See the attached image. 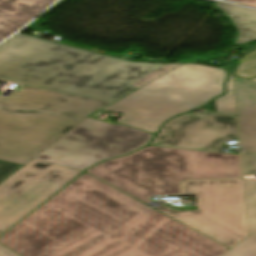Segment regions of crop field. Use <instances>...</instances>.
<instances>
[{"label":"crop field","mask_w":256,"mask_h":256,"mask_svg":"<svg viewBox=\"0 0 256 256\" xmlns=\"http://www.w3.org/2000/svg\"><path fill=\"white\" fill-rule=\"evenodd\" d=\"M236 138L235 118L189 113L165 123L150 146L219 152L225 141Z\"/></svg>","instance_id":"crop-field-9"},{"label":"crop field","mask_w":256,"mask_h":256,"mask_svg":"<svg viewBox=\"0 0 256 256\" xmlns=\"http://www.w3.org/2000/svg\"><path fill=\"white\" fill-rule=\"evenodd\" d=\"M223 68L182 64L103 109L117 122L155 134L167 119L196 109L223 91Z\"/></svg>","instance_id":"crop-field-5"},{"label":"crop field","mask_w":256,"mask_h":256,"mask_svg":"<svg viewBox=\"0 0 256 256\" xmlns=\"http://www.w3.org/2000/svg\"><path fill=\"white\" fill-rule=\"evenodd\" d=\"M20 165L0 161V182L15 171Z\"/></svg>","instance_id":"crop-field-18"},{"label":"crop field","mask_w":256,"mask_h":256,"mask_svg":"<svg viewBox=\"0 0 256 256\" xmlns=\"http://www.w3.org/2000/svg\"><path fill=\"white\" fill-rule=\"evenodd\" d=\"M230 249L240 256H256V236L249 235L239 244Z\"/></svg>","instance_id":"crop-field-16"},{"label":"crop field","mask_w":256,"mask_h":256,"mask_svg":"<svg viewBox=\"0 0 256 256\" xmlns=\"http://www.w3.org/2000/svg\"><path fill=\"white\" fill-rule=\"evenodd\" d=\"M163 65L129 62L19 34L0 45V79L112 101Z\"/></svg>","instance_id":"crop-field-2"},{"label":"crop field","mask_w":256,"mask_h":256,"mask_svg":"<svg viewBox=\"0 0 256 256\" xmlns=\"http://www.w3.org/2000/svg\"><path fill=\"white\" fill-rule=\"evenodd\" d=\"M151 134L87 117L34 159L82 170L145 145Z\"/></svg>","instance_id":"crop-field-7"},{"label":"crop field","mask_w":256,"mask_h":256,"mask_svg":"<svg viewBox=\"0 0 256 256\" xmlns=\"http://www.w3.org/2000/svg\"><path fill=\"white\" fill-rule=\"evenodd\" d=\"M243 183L249 234L256 235V181L243 179Z\"/></svg>","instance_id":"crop-field-13"},{"label":"crop field","mask_w":256,"mask_h":256,"mask_svg":"<svg viewBox=\"0 0 256 256\" xmlns=\"http://www.w3.org/2000/svg\"><path fill=\"white\" fill-rule=\"evenodd\" d=\"M216 5L232 19L238 29L236 44L256 40V11L222 2Z\"/></svg>","instance_id":"crop-field-12"},{"label":"crop field","mask_w":256,"mask_h":256,"mask_svg":"<svg viewBox=\"0 0 256 256\" xmlns=\"http://www.w3.org/2000/svg\"><path fill=\"white\" fill-rule=\"evenodd\" d=\"M54 0H0V41L20 28Z\"/></svg>","instance_id":"crop-field-11"},{"label":"crop field","mask_w":256,"mask_h":256,"mask_svg":"<svg viewBox=\"0 0 256 256\" xmlns=\"http://www.w3.org/2000/svg\"><path fill=\"white\" fill-rule=\"evenodd\" d=\"M228 1L243 3L256 8V0H228Z\"/></svg>","instance_id":"crop-field-19"},{"label":"crop field","mask_w":256,"mask_h":256,"mask_svg":"<svg viewBox=\"0 0 256 256\" xmlns=\"http://www.w3.org/2000/svg\"><path fill=\"white\" fill-rule=\"evenodd\" d=\"M110 102L30 86L0 97V160L24 164Z\"/></svg>","instance_id":"crop-field-3"},{"label":"crop field","mask_w":256,"mask_h":256,"mask_svg":"<svg viewBox=\"0 0 256 256\" xmlns=\"http://www.w3.org/2000/svg\"><path fill=\"white\" fill-rule=\"evenodd\" d=\"M81 171L31 159L0 183V234ZM0 256H18L0 246Z\"/></svg>","instance_id":"crop-field-8"},{"label":"crop field","mask_w":256,"mask_h":256,"mask_svg":"<svg viewBox=\"0 0 256 256\" xmlns=\"http://www.w3.org/2000/svg\"><path fill=\"white\" fill-rule=\"evenodd\" d=\"M244 176L256 175V83L234 78Z\"/></svg>","instance_id":"crop-field-10"},{"label":"crop field","mask_w":256,"mask_h":256,"mask_svg":"<svg viewBox=\"0 0 256 256\" xmlns=\"http://www.w3.org/2000/svg\"><path fill=\"white\" fill-rule=\"evenodd\" d=\"M234 74L245 79L256 77V50L241 58Z\"/></svg>","instance_id":"crop-field-15"},{"label":"crop field","mask_w":256,"mask_h":256,"mask_svg":"<svg viewBox=\"0 0 256 256\" xmlns=\"http://www.w3.org/2000/svg\"><path fill=\"white\" fill-rule=\"evenodd\" d=\"M249 80L256 82V78H253V79H249Z\"/></svg>","instance_id":"crop-field-21"},{"label":"crop field","mask_w":256,"mask_h":256,"mask_svg":"<svg viewBox=\"0 0 256 256\" xmlns=\"http://www.w3.org/2000/svg\"><path fill=\"white\" fill-rule=\"evenodd\" d=\"M183 195H195L197 211L154 208L228 246L248 236L242 179L182 183Z\"/></svg>","instance_id":"crop-field-6"},{"label":"crop field","mask_w":256,"mask_h":256,"mask_svg":"<svg viewBox=\"0 0 256 256\" xmlns=\"http://www.w3.org/2000/svg\"><path fill=\"white\" fill-rule=\"evenodd\" d=\"M87 172L151 206L152 196L179 194L180 180L241 177L239 155L155 147Z\"/></svg>","instance_id":"crop-field-4"},{"label":"crop field","mask_w":256,"mask_h":256,"mask_svg":"<svg viewBox=\"0 0 256 256\" xmlns=\"http://www.w3.org/2000/svg\"><path fill=\"white\" fill-rule=\"evenodd\" d=\"M230 250V249H229ZM231 252H233L232 250H230ZM234 253V252H233ZM234 254H236V253H234ZM237 255V254H236ZM239 256V255H238Z\"/></svg>","instance_id":"crop-field-22"},{"label":"crop field","mask_w":256,"mask_h":256,"mask_svg":"<svg viewBox=\"0 0 256 256\" xmlns=\"http://www.w3.org/2000/svg\"><path fill=\"white\" fill-rule=\"evenodd\" d=\"M220 256H236V255H234L233 253H231V252L228 250V251H226L225 253H223V254L220 255Z\"/></svg>","instance_id":"crop-field-20"},{"label":"crop field","mask_w":256,"mask_h":256,"mask_svg":"<svg viewBox=\"0 0 256 256\" xmlns=\"http://www.w3.org/2000/svg\"><path fill=\"white\" fill-rule=\"evenodd\" d=\"M0 243L21 256H219L228 250L85 173Z\"/></svg>","instance_id":"crop-field-1"},{"label":"crop field","mask_w":256,"mask_h":256,"mask_svg":"<svg viewBox=\"0 0 256 256\" xmlns=\"http://www.w3.org/2000/svg\"><path fill=\"white\" fill-rule=\"evenodd\" d=\"M216 110L219 113L235 116V100L233 89V74H229V78L226 81V91L222 97L214 100Z\"/></svg>","instance_id":"crop-field-14"},{"label":"crop field","mask_w":256,"mask_h":256,"mask_svg":"<svg viewBox=\"0 0 256 256\" xmlns=\"http://www.w3.org/2000/svg\"><path fill=\"white\" fill-rule=\"evenodd\" d=\"M180 64H166L163 67L157 69L156 71L150 73L149 75L143 77L142 79L138 80L137 82L133 83L132 85L140 88L145 84L151 82L152 80L156 79L157 77L163 75L164 73L168 72L169 70L175 68Z\"/></svg>","instance_id":"crop-field-17"}]
</instances>
